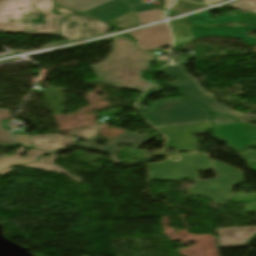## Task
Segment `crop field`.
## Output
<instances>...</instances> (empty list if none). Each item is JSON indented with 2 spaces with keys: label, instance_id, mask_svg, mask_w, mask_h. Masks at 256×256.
<instances>
[{
  "label": "crop field",
  "instance_id": "1",
  "mask_svg": "<svg viewBox=\"0 0 256 256\" xmlns=\"http://www.w3.org/2000/svg\"><path fill=\"white\" fill-rule=\"evenodd\" d=\"M148 167L152 179H195L194 186L189 188V195H205L217 204H227L231 186L243 181L241 171L211 160L207 155H174L162 163L148 164ZM210 169H214L219 178L199 180L197 171Z\"/></svg>",
  "mask_w": 256,
  "mask_h": 256
},
{
  "label": "crop field",
  "instance_id": "2",
  "mask_svg": "<svg viewBox=\"0 0 256 256\" xmlns=\"http://www.w3.org/2000/svg\"><path fill=\"white\" fill-rule=\"evenodd\" d=\"M56 8L62 15L50 11ZM78 14L56 6L52 0H0V32L60 37V22Z\"/></svg>",
  "mask_w": 256,
  "mask_h": 256
},
{
  "label": "crop field",
  "instance_id": "3",
  "mask_svg": "<svg viewBox=\"0 0 256 256\" xmlns=\"http://www.w3.org/2000/svg\"><path fill=\"white\" fill-rule=\"evenodd\" d=\"M154 57L135 47L130 39L116 37L113 41L112 53L102 64L91 67L102 83L143 91L148 82L144 81L138 73L148 69V62Z\"/></svg>",
  "mask_w": 256,
  "mask_h": 256
},
{
  "label": "crop field",
  "instance_id": "4",
  "mask_svg": "<svg viewBox=\"0 0 256 256\" xmlns=\"http://www.w3.org/2000/svg\"><path fill=\"white\" fill-rule=\"evenodd\" d=\"M145 117L156 128L210 122V112L181 97L153 102Z\"/></svg>",
  "mask_w": 256,
  "mask_h": 256
},
{
  "label": "crop field",
  "instance_id": "5",
  "mask_svg": "<svg viewBox=\"0 0 256 256\" xmlns=\"http://www.w3.org/2000/svg\"><path fill=\"white\" fill-rule=\"evenodd\" d=\"M162 71L166 77H174L176 79V82L166 84L179 89L184 97L192 99L194 102L200 104L209 111L226 116H232L238 120L243 116L242 113L229 110L218 105L215 102V98L200 87L198 81H196L189 74L185 73L186 71L184 72L182 65L167 66L163 68Z\"/></svg>",
  "mask_w": 256,
  "mask_h": 256
},
{
  "label": "crop field",
  "instance_id": "6",
  "mask_svg": "<svg viewBox=\"0 0 256 256\" xmlns=\"http://www.w3.org/2000/svg\"><path fill=\"white\" fill-rule=\"evenodd\" d=\"M109 29H111V27L106 23L79 14L67 17L61 22V37L64 39L76 40L97 36Z\"/></svg>",
  "mask_w": 256,
  "mask_h": 256
},
{
  "label": "crop field",
  "instance_id": "7",
  "mask_svg": "<svg viewBox=\"0 0 256 256\" xmlns=\"http://www.w3.org/2000/svg\"><path fill=\"white\" fill-rule=\"evenodd\" d=\"M208 128L209 123L158 129L168 138L162 152L166 153L169 148L175 149L176 152H196L195 140L190 138V134H208Z\"/></svg>",
  "mask_w": 256,
  "mask_h": 256
},
{
  "label": "crop field",
  "instance_id": "8",
  "mask_svg": "<svg viewBox=\"0 0 256 256\" xmlns=\"http://www.w3.org/2000/svg\"><path fill=\"white\" fill-rule=\"evenodd\" d=\"M219 140L228 143L234 151H242L244 147L256 146V134L253 129L239 123L213 126ZM256 157V156H255Z\"/></svg>",
  "mask_w": 256,
  "mask_h": 256
},
{
  "label": "crop field",
  "instance_id": "9",
  "mask_svg": "<svg viewBox=\"0 0 256 256\" xmlns=\"http://www.w3.org/2000/svg\"><path fill=\"white\" fill-rule=\"evenodd\" d=\"M130 35L136 37L137 46L145 50L168 47L172 43L167 24L132 32Z\"/></svg>",
  "mask_w": 256,
  "mask_h": 256
},
{
  "label": "crop field",
  "instance_id": "10",
  "mask_svg": "<svg viewBox=\"0 0 256 256\" xmlns=\"http://www.w3.org/2000/svg\"><path fill=\"white\" fill-rule=\"evenodd\" d=\"M154 138H150L147 136H143L140 134H136L133 132H127L115 139H113L112 141L108 142L107 147H100L99 145L95 144V142L97 140H99L98 138H94V139H90L87 140V142L89 144H82L79 143L77 144L75 147H81V148H86V149H90V150H94V151H98V152H103V153H107L111 156L112 160L114 163H119L116 156H115V152H117V147L120 144H128L131 145L135 148L139 147L140 145L152 140Z\"/></svg>",
  "mask_w": 256,
  "mask_h": 256
},
{
  "label": "crop field",
  "instance_id": "11",
  "mask_svg": "<svg viewBox=\"0 0 256 256\" xmlns=\"http://www.w3.org/2000/svg\"><path fill=\"white\" fill-rule=\"evenodd\" d=\"M218 248L246 247L256 234V226L217 228Z\"/></svg>",
  "mask_w": 256,
  "mask_h": 256
},
{
  "label": "crop field",
  "instance_id": "12",
  "mask_svg": "<svg viewBox=\"0 0 256 256\" xmlns=\"http://www.w3.org/2000/svg\"><path fill=\"white\" fill-rule=\"evenodd\" d=\"M190 27L194 40L199 37L213 36L216 34L217 36L221 37H238L242 39L248 46H256V38L248 37L246 35V32L249 30L256 31V28L254 27L246 26L242 28H230L228 26H224L220 28H204L201 26L193 25Z\"/></svg>",
  "mask_w": 256,
  "mask_h": 256
},
{
  "label": "crop field",
  "instance_id": "13",
  "mask_svg": "<svg viewBox=\"0 0 256 256\" xmlns=\"http://www.w3.org/2000/svg\"><path fill=\"white\" fill-rule=\"evenodd\" d=\"M211 15L209 12H204L201 14H197L195 16L186 18L190 23L196 24H218V23H232L233 21L249 24L256 26V13L246 12L240 10L237 16H226V17H217L216 20L210 19Z\"/></svg>",
  "mask_w": 256,
  "mask_h": 256
},
{
  "label": "crop field",
  "instance_id": "14",
  "mask_svg": "<svg viewBox=\"0 0 256 256\" xmlns=\"http://www.w3.org/2000/svg\"><path fill=\"white\" fill-rule=\"evenodd\" d=\"M31 139L35 145V148L54 151H59L63 148L75 144L72 136L69 138H64L58 134L33 136Z\"/></svg>",
  "mask_w": 256,
  "mask_h": 256
},
{
  "label": "crop field",
  "instance_id": "15",
  "mask_svg": "<svg viewBox=\"0 0 256 256\" xmlns=\"http://www.w3.org/2000/svg\"><path fill=\"white\" fill-rule=\"evenodd\" d=\"M112 0H56L57 4L80 13Z\"/></svg>",
  "mask_w": 256,
  "mask_h": 256
},
{
  "label": "crop field",
  "instance_id": "16",
  "mask_svg": "<svg viewBox=\"0 0 256 256\" xmlns=\"http://www.w3.org/2000/svg\"><path fill=\"white\" fill-rule=\"evenodd\" d=\"M50 152L52 151L29 149V151L27 152V158L3 156L0 159V170H3L9 166L36 161V159L40 155L50 153Z\"/></svg>",
  "mask_w": 256,
  "mask_h": 256
},
{
  "label": "crop field",
  "instance_id": "17",
  "mask_svg": "<svg viewBox=\"0 0 256 256\" xmlns=\"http://www.w3.org/2000/svg\"><path fill=\"white\" fill-rule=\"evenodd\" d=\"M56 154L57 153H52L50 157H43V158L39 159L38 162L29 163V164L20 165V166L29 167V168L38 169V170L62 173V174H65V175L69 176L70 178H72L76 182L80 183L77 179L72 177L70 174H68L62 168L53 164V162L56 158ZM39 161H40V163H39Z\"/></svg>",
  "mask_w": 256,
  "mask_h": 256
},
{
  "label": "crop field",
  "instance_id": "18",
  "mask_svg": "<svg viewBox=\"0 0 256 256\" xmlns=\"http://www.w3.org/2000/svg\"><path fill=\"white\" fill-rule=\"evenodd\" d=\"M131 11L130 7L126 4V2L119 4L117 6L111 7L99 13L93 14L91 16L99 18L105 22H108L118 16H121L127 12Z\"/></svg>",
  "mask_w": 256,
  "mask_h": 256
},
{
  "label": "crop field",
  "instance_id": "19",
  "mask_svg": "<svg viewBox=\"0 0 256 256\" xmlns=\"http://www.w3.org/2000/svg\"><path fill=\"white\" fill-rule=\"evenodd\" d=\"M108 23L118 29H124V28L139 25L133 11L121 17H118Z\"/></svg>",
  "mask_w": 256,
  "mask_h": 256
},
{
  "label": "crop field",
  "instance_id": "20",
  "mask_svg": "<svg viewBox=\"0 0 256 256\" xmlns=\"http://www.w3.org/2000/svg\"><path fill=\"white\" fill-rule=\"evenodd\" d=\"M1 119H12L8 109H0V146L7 148L12 145V139L8 134V130L3 129Z\"/></svg>",
  "mask_w": 256,
  "mask_h": 256
},
{
  "label": "crop field",
  "instance_id": "21",
  "mask_svg": "<svg viewBox=\"0 0 256 256\" xmlns=\"http://www.w3.org/2000/svg\"><path fill=\"white\" fill-rule=\"evenodd\" d=\"M137 16L141 24L151 22V21H157L159 19H164V13H162L160 9L155 11L139 13L137 14Z\"/></svg>",
  "mask_w": 256,
  "mask_h": 256
},
{
  "label": "crop field",
  "instance_id": "22",
  "mask_svg": "<svg viewBox=\"0 0 256 256\" xmlns=\"http://www.w3.org/2000/svg\"><path fill=\"white\" fill-rule=\"evenodd\" d=\"M99 128H101V127L96 125V126H92V127L72 131V133H74L75 135H77L81 139H87V138L98 136Z\"/></svg>",
  "mask_w": 256,
  "mask_h": 256
},
{
  "label": "crop field",
  "instance_id": "23",
  "mask_svg": "<svg viewBox=\"0 0 256 256\" xmlns=\"http://www.w3.org/2000/svg\"><path fill=\"white\" fill-rule=\"evenodd\" d=\"M160 86L158 84H152L149 86V88L146 90V92L144 93V95L139 99L138 101V110L144 114V108H143V104L145 102V100L149 97L147 96V94H150V96L156 92H160Z\"/></svg>",
  "mask_w": 256,
  "mask_h": 256
},
{
  "label": "crop field",
  "instance_id": "24",
  "mask_svg": "<svg viewBox=\"0 0 256 256\" xmlns=\"http://www.w3.org/2000/svg\"><path fill=\"white\" fill-rule=\"evenodd\" d=\"M130 5L133 7L136 13L144 12L149 10H155L156 8L152 5H143L141 0H127Z\"/></svg>",
  "mask_w": 256,
  "mask_h": 256
},
{
  "label": "crop field",
  "instance_id": "25",
  "mask_svg": "<svg viewBox=\"0 0 256 256\" xmlns=\"http://www.w3.org/2000/svg\"><path fill=\"white\" fill-rule=\"evenodd\" d=\"M16 144L29 147V148H34L29 136L27 134H13Z\"/></svg>",
  "mask_w": 256,
  "mask_h": 256
},
{
  "label": "crop field",
  "instance_id": "26",
  "mask_svg": "<svg viewBox=\"0 0 256 256\" xmlns=\"http://www.w3.org/2000/svg\"><path fill=\"white\" fill-rule=\"evenodd\" d=\"M226 6H233L256 11V0H243Z\"/></svg>",
  "mask_w": 256,
  "mask_h": 256
},
{
  "label": "crop field",
  "instance_id": "27",
  "mask_svg": "<svg viewBox=\"0 0 256 256\" xmlns=\"http://www.w3.org/2000/svg\"><path fill=\"white\" fill-rule=\"evenodd\" d=\"M122 2H124V0H115V1H113V2L107 3V4L102 5V6H99V7H97V8H94V9H92V10H90V11L84 13V14L91 15V14H93V13H96V12H98V11L104 10V9H106V8H109V7H111V6H114V5L119 4V3H122Z\"/></svg>",
  "mask_w": 256,
  "mask_h": 256
},
{
  "label": "crop field",
  "instance_id": "28",
  "mask_svg": "<svg viewBox=\"0 0 256 256\" xmlns=\"http://www.w3.org/2000/svg\"><path fill=\"white\" fill-rule=\"evenodd\" d=\"M213 122H214V125H218V124L232 123L236 121L229 117L216 115Z\"/></svg>",
  "mask_w": 256,
  "mask_h": 256
},
{
  "label": "crop field",
  "instance_id": "29",
  "mask_svg": "<svg viewBox=\"0 0 256 256\" xmlns=\"http://www.w3.org/2000/svg\"><path fill=\"white\" fill-rule=\"evenodd\" d=\"M174 0H165L164 9L167 10Z\"/></svg>",
  "mask_w": 256,
  "mask_h": 256
},
{
  "label": "crop field",
  "instance_id": "30",
  "mask_svg": "<svg viewBox=\"0 0 256 256\" xmlns=\"http://www.w3.org/2000/svg\"><path fill=\"white\" fill-rule=\"evenodd\" d=\"M219 1H222V0H203V2L205 4H212V3H215V2H219Z\"/></svg>",
  "mask_w": 256,
  "mask_h": 256
},
{
  "label": "crop field",
  "instance_id": "31",
  "mask_svg": "<svg viewBox=\"0 0 256 256\" xmlns=\"http://www.w3.org/2000/svg\"><path fill=\"white\" fill-rule=\"evenodd\" d=\"M243 123H245V124H247V125H250V126L256 128V126H254V125H252V124H250V123H248V122H243Z\"/></svg>",
  "mask_w": 256,
  "mask_h": 256
},
{
  "label": "crop field",
  "instance_id": "32",
  "mask_svg": "<svg viewBox=\"0 0 256 256\" xmlns=\"http://www.w3.org/2000/svg\"><path fill=\"white\" fill-rule=\"evenodd\" d=\"M252 170L256 171V167L251 168Z\"/></svg>",
  "mask_w": 256,
  "mask_h": 256
}]
</instances>
